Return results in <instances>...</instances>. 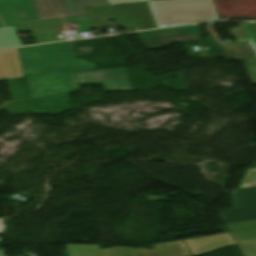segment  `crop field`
<instances>
[{"mask_svg": "<svg viewBox=\"0 0 256 256\" xmlns=\"http://www.w3.org/2000/svg\"><path fill=\"white\" fill-rule=\"evenodd\" d=\"M25 74L99 68L86 59H77L73 42L19 48Z\"/></svg>", "mask_w": 256, "mask_h": 256, "instance_id": "crop-field-1", "label": "crop field"}, {"mask_svg": "<svg viewBox=\"0 0 256 256\" xmlns=\"http://www.w3.org/2000/svg\"><path fill=\"white\" fill-rule=\"evenodd\" d=\"M158 27L219 19L211 0L149 2Z\"/></svg>", "mask_w": 256, "mask_h": 256, "instance_id": "crop-field-2", "label": "crop field"}, {"mask_svg": "<svg viewBox=\"0 0 256 256\" xmlns=\"http://www.w3.org/2000/svg\"><path fill=\"white\" fill-rule=\"evenodd\" d=\"M92 27L109 25L107 17L113 16L118 24L135 30L155 27L146 2L86 9Z\"/></svg>", "mask_w": 256, "mask_h": 256, "instance_id": "crop-field-3", "label": "crop field"}, {"mask_svg": "<svg viewBox=\"0 0 256 256\" xmlns=\"http://www.w3.org/2000/svg\"><path fill=\"white\" fill-rule=\"evenodd\" d=\"M78 84L103 83L105 92L131 91L126 67L75 71Z\"/></svg>", "mask_w": 256, "mask_h": 256, "instance_id": "crop-field-4", "label": "crop field"}, {"mask_svg": "<svg viewBox=\"0 0 256 256\" xmlns=\"http://www.w3.org/2000/svg\"><path fill=\"white\" fill-rule=\"evenodd\" d=\"M32 97L75 90L71 72H52L27 75Z\"/></svg>", "mask_w": 256, "mask_h": 256, "instance_id": "crop-field-5", "label": "crop field"}, {"mask_svg": "<svg viewBox=\"0 0 256 256\" xmlns=\"http://www.w3.org/2000/svg\"><path fill=\"white\" fill-rule=\"evenodd\" d=\"M139 35L148 49L195 41L201 38L195 26L141 32Z\"/></svg>", "mask_w": 256, "mask_h": 256, "instance_id": "crop-field-6", "label": "crop field"}, {"mask_svg": "<svg viewBox=\"0 0 256 256\" xmlns=\"http://www.w3.org/2000/svg\"><path fill=\"white\" fill-rule=\"evenodd\" d=\"M167 244L166 246H164ZM155 249L148 250L143 247L133 249L130 247H112L101 250L102 256H191L185 243L172 241L153 245Z\"/></svg>", "mask_w": 256, "mask_h": 256, "instance_id": "crop-field-7", "label": "crop field"}, {"mask_svg": "<svg viewBox=\"0 0 256 256\" xmlns=\"http://www.w3.org/2000/svg\"><path fill=\"white\" fill-rule=\"evenodd\" d=\"M233 193L236 209L220 211L225 223L256 219V187Z\"/></svg>", "mask_w": 256, "mask_h": 256, "instance_id": "crop-field-8", "label": "crop field"}, {"mask_svg": "<svg viewBox=\"0 0 256 256\" xmlns=\"http://www.w3.org/2000/svg\"><path fill=\"white\" fill-rule=\"evenodd\" d=\"M0 15L5 25L41 20L33 0H0Z\"/></svg>", "mask_w": 256, "mask_h": 256, "instance_id": "crop-field-9", "label": "crop field"}, {"mask_svg": "<svg viewBox=\"0 0 256 256\" xmlns=\"http://www.w3.org/2000/svg\"><path fill=\"white\" fill-rule=\"evenodd\" d=\"M29 102L32 113L60 114L72 109L68 93L31 99Z\"/></svg>", "mask_w": 256, "mask_h": 256, "instance_id": "crop-field-10", "label": "crop field"}, {"mask_svg": "<svg viewBox=\"0 0 256 256\" xmlns=\"http://www.w3.org/2000/svg\"><path fill=\"white\" fill-rule=\"evenodd\" d=\"M194 256L236 244L231 234L186 241Z\"/></svg>", "mask_w": 256, "mask_h": 256, "instance_id": "crop-field-11", "label": "crop field"}, {"mask_svg": "<svg viewBox=\"0 0 256 256\" xmlns=\"http://www.w3.org/2000/svg\"><path fill=\"white\" fill-rule=\"evenodd\" d=\"M24 76L18 49L0 51V80Z\"/></svg>", "mask_w": 256, "mask_h": 256, "instance_id": "crop-field-12", "label": "crop field"}, {"mask_svg": "<svg viewBox=\"0 0 256 256\" xmlns=\"http://www.w3.org/2000/svg\"><path fill=\"white\" fill-rule=\"evenodd\" d=\"M42 20L72 16L65 0H34Z\"/></svg>", "mask_w": 256, "mask_h": 256, "instance_id": "crop-field-13", "label": "crop field"}, {"mask_svg": "<svg viewBox=\"0 0 256 256\" xmlns=\"http://www.w3.org/2000/svg\"><path fill=\"white\" fill-rule=\"evenodd\" d=\"M235 239L256 236V220L227 224Z\"/></svg>", "mask_w": 256, "mask_h": 256, "instance_id": "crop-field-14", "label": "crop field"}, {"mask_svg": "<svg viewBox=\"0 0 256 256\" xmlns=\"http://www.w3.org/2000/svg\"><path fill=\"white\" fill-rule=\"evenodd\" d=\"M73 16L86 14L84 7L109 5L107 0H66Z\"/></svg>", "mask_w": 256, "mask_h": 256, "instance_id": "crop-field-15", "label": "crop field"}, {"mask_svg": "<svg viewBox=\"0 0 256 256\" xmlns=\"http://www.w3.org/2000/svg\"><path fill=\"white\" fill-rule=\"evenodd\" d=\"M69 256H101L99 245L67 244Z\"/></svg>", "mask_w": 256, "mask_h": 256, "instance_id": "crop-field-16", "label": "crop field"}, {"mask_svg": "<svg viewBox=\"0 0 256 256\" xmlns=\"http://www.w3.org/2000/svg\"><path fill=\"white\" fill-rule=\"evenodd\" d=\"M21 45L16 36L15 27L0 28V48L13 47Z\"/></svg>", "mask_w": 256, "mask_h": 256, "instance_id": "crop-field-17", "label": "crop field"}, {"mask_svg": "<svg viewBox=\"0 0 256 256\" xmlns=\"http://www.w3.org/2000/svg\"><path fill=\"white\" fill-rule=\"evenodd\" d=\"M256 185V169H247L240 188Z\"/></svg>", "mask_w": 256, "mask_h": 256, "instance_id": "crop-field-18", "label": "crop field"}, {"mask_svg": "<svg viewBox=\"0 0 256 256\" xmlns=\"http://www.w3.org/2000/svg\"><path fill=\"white\" fill-rule=\"evenodd\" d=\"M247 256H256V238L240 240Z\"/></svg>", "mask_w": 256, "mask_h": 256, "instance_id": "crop-field-19", "label": "crop field"}, {"mask_svg": "<svg viewBox=\"0 0 256 256\" xmlns=\"http://www.w3.org/2000/svg\"><path fill=\"white\" fill-rule=\"evenodd\" d=\"M137 1H145V0H109L111 5L122 4V3H130V2H137Z\"/></svg>", "mask_w": 256, "mask_h": 256, "instance_id": "crop-field-20", "label": "crop field"}, {"mask_svg": "<svg viewBox=\"0 0 256 256\" xmlns=\"http://www.w3.org/2000/svg\"><path fill=\"white\" fill-rule=\"evenodd\" d=\"M57 22H58L59 25H62L61 19L57 20ZM60 29H62V28H60ZM60 29H56V30L58 31Z\"/></svg>", "mask_w": 256, "mask_h": 256, "instance_id": "crop-field-21", "label": "crop field"}, {"mask_svg": "<svg viewBox=\"0 0 256 256\" xmlns=\"http://www.w3.org/2000/svg\"><path fill=\"white\" fill-rule=\"evenodd\" d=\"M1 221H2V220H0V225H1Z\"/></svg>", "mask_w": 256, "mask_h": 256, "instance_id": "crop-field-22", "label": "crop field"}]
</instances>
